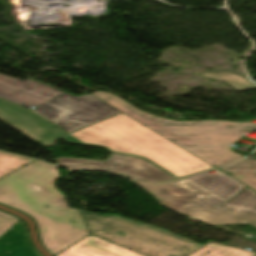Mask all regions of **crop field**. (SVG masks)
Here are the masks:
<instances>
[{"label":"crop field","mask_w":256,"mask_h":256,"mask_svg":"<svg viewBox=\"0 0 256 256\" xmlns=\"http://www.w3.org/2000/svg\"><path fill=\"white\" fill-rule=\"evenodd\" d=\"M93 95L213 167L243 157L233 153L229 146L244 137L241 135L243 131L256 128L255 123L230 121L175 122L140 112L106 93H93Z\"/></svg>","instance_id":"3"},{"label":"crop field","mask_w":256,"mask_h":256,"mask_svg":"<svg viewBox=\"0 0 256 256\" xmlns=\"http://www.w3.org/2000/svg\"><path fill=\"white\" fill-rule=\"evenodd\" d=\"M214 171L216 173L212 175L205 172L188 178L227 201L245 188L243 184L223 174L218 169Z\"/></svg>","instance_id":"12"},{"label":"crop field","mask_w":256,"mask_h":256,"mask_svg":"<svg viewBox=\"0 0 256 256\" xmlns=\"http://www.w3.org/2000/svg\"><path fill=\"white\" fill-rule=\"evenodd\" d=\"M34 111L69 132L120 113L92 95L75 97L67 93Z\"/></svg>","instance_id":"6"},{"label":"crop field","mask_w":256,"mask_h":256,"mask_svg":"<svg viewBox=\"0 0 256 256\" xmlns=\"http://www.w3.org/2000/svg\"><path fill=\"white\" fill-rule=\"evenodd\" d=\"M78 211L91 235L145 256H186L203 246L152 225Z\"/></svg>","instance_id":"5"},{"label":"crop field","mask_w":256,"mask_h":256,"mask_svg":"<svg viewBox=\"0 0 256 256\" xmlns=\"http://www.w3.org/2000/svg\"><path fill=\"white\" fill-rule=\"evenodd\" d=\"M57 161L59 165L75 170L113 172L148 183H160L174 179L173 176L147 161L129 156L111 154L105 162L72 158H58Z\"/></svg>","instance_id":"7"},{"label":"crop field","mask_w":256,"mask_h":256,"mask_svg":"<svg viewBox=\"0 0 256 256\" xmlns=\"http://www.w3.org/2000/svg\"><path fill=\"white\" fill-rule=\"evenodd\" d=\"M202 76L227 82L237 90H244L256 87L255 85L248 82L244 77L237 76L230 72H224L221 74L203 73Z\"/></svg>","instance_id":"13"},{"label":"crop field","mask_w":256,"mask_h":256,"mask_svg":"<svg viewBox=\"0 0 256 256\" xmlns=\"http://www.w3.org/2000/svg\"><path fill=\"white\" fill-rule=\"evenodd\" d=\"M250 188L256 190V173H227Z\"/></svg>","instance_id":"17"},{"label":"crop field","mask_w":256,"mask_h":256,"mask_svg":"<svg viewBox=\"0 0 256 256\" xmlns=\"http://www.w3.org/2000/svg\"><path fill=\"white\" fill-rule=\"evenodd\" d=\"M33 160L0 153V178Z\"/></svg>","instance_id":"14"},{"label":"crop field","mask_w":256,"mask_h":256,"mask_svg":"<svg viewBox=\"0 0 256 256\" xmlns=\"http://www.w3.org/2000/svg\"><path fill=\"white\" fill-rule=\"evenodd\" d=\"M65 141L141 157L176 177L213 168L123 113L69 135Z\"/></svg>","instance_id":"2"},{"label":"crop field","mask_w":256,"mask_h":256,"mask_svg":"<svg viewBox=\"0 0 256 256\" xmlns=\"http://www.w3.org/2000/svg\"><path fill=\"white\" fill-rule=\"evenodd\" d=\"M139 184L166 207L207 224L256 227V193L247 187L227 202L187 178L158 186Z\"/></svg>","instance_id":"4"},{"label":"crop field","mask_w":256,"mask_h":256,"mask_svg":"<svg viewBox=\"0 0 256 256\" xmlns=\"http://www.w3.org/2000/svg\"><path fill=\"white\" fill-rule=\"evenodd\" d=\"M19 219L9 216L5 213L0 212V235L8 230L14 223Z\"/></svg>","instance_id":"18"},{"label":"crop field","mask_w":256,"mask_h":256,"mask_svg":"<svg viewBox=\"0 0 256 256\" xmlns=\"http://www.w3.org/2000/svg\"><path fill=\"white\" fill-rule=\"evenodd\" d=\"M256 253L211 242L188 256H254ZM55 256H142L91 235Z\"/></svg>","instance_id":"8"},{"label":"crop field","mask_w":256,"mask_h":256,"mask_svg":"<svg viewBox=\"0 0 256 256\" xmlns=\"http://www.w3.org/2000/svg\"><path fill=\"white\" fill-rule=\"evenodd\" d=\"M66 133L54 126L46 136L39 142L43 146L54 145L57 139L62 138Z\"/></svg>","instance_id":"16"},{"label":"crop field","mask_w":256,"mask_h":256,"mask_svg":"<svg viewBox=\"0 0 256 256\" xmlns=\"http://www.w3.org/2000/svg\"><path fill=\"white\" fill-rule=\"evenodd\" d=\"M59 202H61V203L65 204L64 200H61V201H59ZM57 203H58V202H57Z\"/></svg>","instance_id":"19"},{"label":"crop field","mask_w":256,"mask_h":256,"mask_svg":"<svg viewBox=\"0 0 256 256\" xmlns=\"http://www.w3.org/2000/svg\"><path fill=\"white\" fill-rule=\"evenodd\" d=\"M63 91L35 82L19 80L0 74V98L24 108L37 105Z\"/></svg>","instance_id":"9"},{"label":"crop field","mask_w":256,"mask_h":256,"mask_svg":"<svg viewBox=\"0 0 256 256\" xmlns=\"http://www.w3.org/2000/svg\"><path fill=\"white\" fill-rule=\"evenodd\" d=\"M220 168L225 172H256V160H241Z\"/></svg>","instance_id":"15"},{"label":"crop field","mask_w":256,"mask_h":256,"mask_svg":"<svg viewBox=\"0 0 256 256\" xmlns=\"http://www.w3.org/2000/svg\"><path fill=\"white\" fill-rule=\"evenodd\" d=\"M0 120L36 142L53 125L29 110L3 99H0Z\"/></svg>","instance_id":"10"},{"label":"crop field","mask_w":256,"mask_h":256,"mask_svg":"<svg viewBox=\"0 0 256 256\" xmlns=\"http://www.w3.org/2000/svg\"><path fill=\"white\" fill-rule=\"evenodd\" d=\"M0 256H41L28 242L26 229L20 221L0 236Z\"/></svg>","instance_id":"11"},{"label":"crop field","mask_w":256,"mask_h":256,"mask_svg":"<svg viewBox=\"0 0 256 256\" xmlns=\"http://www.w3.org/2000/svg\"><path fill=\"white\" fill-rule=\"evenodd\" d=\"M57 177L55 166L34 161L0 179V203L31 215L53 255L89 235L77 210L55 203L63 199L53 185Z\"/></svg>","instance_id":"1"}]
</instances>
